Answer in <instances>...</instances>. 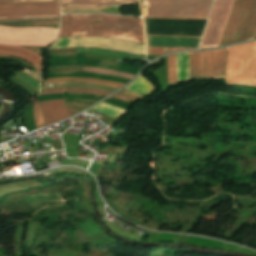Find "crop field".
I'll return each mask as SVG.
<instances>
[{"label": "crop field", "instance_id": "obj_19", "mask_svg": "<svg viewBox=\"0 0 256 256\" xmlns=\"http://www.w3.org/2000/svg\"><path fill=\"white\" fill-rule=\"evenodd\" d=\"M168 83L176 82L175 54L167 57Z\"/></svg>", "mask_w": 256, "mask_h": 256}, {"label": "crop field", "instance_id": "obj_9", "mask_svg": "<svg viewBox=\"0 0 256 256\" xmlns=\"http://www.w3.org/2000/svg\"><path fill=\"white\" fill-rule=\"evenodd\" d=\"M48 14H59L58 3L0 5V17Z\"/></svg>", "mask_w": 256, "mask_h": 256}, {"label": "crop field", "instance_id": "obj_18", "mask_svg": "<svg viewBox=\"0 0 256 256\" xmlns=\"http://www.w3.org/2000/svg\"><path fill=\"white\" fill-rule=\"evenodd\" d=\"M61 91H68V92H87V93H93V94H102V95H108L110 92L101 91V90H93V89H52V90H44L43 94H49V93H61Z\"/></svg>", "mask_w": 256, "mask_h": 256}, {"label": "crop field", "instance_id": "obj_23", "mask_svg": "<svg viewBox=\"0 0 256 256\" xmlns=\"http://www.w3.org/2000/svg\"><path fill=\"white\" fill-rule=\"evenodd\" d=\"M43 1H58V0H0V3H12V2H43Z\"/></svg>", "mask_w": 256, "mask_h": 256}, {"label": "crop field", "instance_id": "obj_7", "mask_svg": "<svg viewBox=\"0 0 256 256\" xmlns=\"http://www.w3.org/2000/svg\"><path fill=\"white\" fill-rule=\"evenodd\" d=\"M58 30L0 28V44L46 45L57 36Z\"/></svg>", "mask_w": 256, "mask_h": 256}, {"label": "crop field", "instance_id": "obj_14", "mask_svg": "<svg viewBox=\"0 0 256 256\" xmlns=\"http://www.w3.org/2000/svg\"><path fill=\"white\" fill-rule=\"evenodd\" d=\"M92 109H94L102 114H105L117 121L127 113V111H125V110H122L115 106L104 104V103H101V104L93 107Z\"/></svg>", "mask_w": 256, "mask_h": 256}, {"label": "crop field", "instance_id": "obj_3", "mask_svg": "<svg viewBox=\"0 0 256 256\" xmlns=\"http://www.w3.org/2000/svg\"><path fill=\"white\" fill-rule=\"evenodd\" d=\"M256 30V0H235L218 46L253 38Z\"/></svg>", "mask_w": 256, "mask_h": 256}, {"label": "crop field", "instance_id": "obj_1", "mask_svg": "<svg viewBox=\"0 0 256 256\" xmlns=\"http://www.w3.org/2000/svg\"><path fill=\"white\" fill-rule=\"evenodd\" d=\"M72 35L109 37L144 44L142 20L138 18L105 14L62 15L61 33L51 48L91 46L145 55L141 44L89 37L60 38Z\"/></svg>", "mask_w": 256, "mask_h": 256}, {"label": "crop field", "instance_id": "obj_25", "mask_svg": "<svg viewBox=\"0 0 256 256\" xmlns=\"http://www.w3.org/2000/svg\"><path fill=\"white\" fill-rule=\"evenodd\" d=\"M254 37H256V34H255V36Z\"/></svg>", "mask_w": 256, "mask_h": 256}, {"label": "crop field", "instance_id": "obj_15", "mask_svg": "<svg viewBox=\"0 0 256 256\" xmlns=\"http://www.w3.org/2000/svg\"><path fill=\"white\" fill-rule=\"evenodd\" d=\"M0 50L22 54L24 56H27V57L35 60L37 63H39L41 65L40 55H38L30 50L18 48V47H14V46H5V45H0Z\"/></svg>", "mask_w": 256, "mask_h": 256}, {"label": "crop field", "instance_id": "obj_5", "mask_svg": "<svg viewBox=\"0 0 256 256\" xmlns=\"http://www.w3.org/2000/svg\"><path fill=\"white\" fill-rule=\"evenodd\" d=\"M213 0H145L147 16L207 17Z\"/></svg>", "mask_w": 256, "mask_h": 256}, {"label": "crop field", "instance_id": "obj_17", "mask_svg": "<svg viewBox=\"0 0 256 256\" xmlns=\"http://www.w3.org/2000/svg\"><path fill=\"white\" fill-rule=\"evenodd\" d=\"M82 71L111 74V75H115V76H119L127 79H131L133 76L132 74H128L124 72H118V71H113V70H108L103 68H96V67H89V66H84Z\"/></svg>", "mask_w": 256, "mask_h": 256}, {"label": "crop field", "instance_id": "obj_10", "mask_svg": "<svg viewBox=\"0 0 256 256\" xmlns=\"http://www.w3.org/2000/svg\"><path fill=\"white\" fill-rule=\"evenodd\" d=\"M45 124H51L71 116L63 99L39 102Z\"/></svg>", "mask_w": 256, "mask_h": 256}, {"label": "crop field", "instance_id": "obj_22", "mask_svg": "<svg viewBox=\"0 0 256 256\" xmlns=\"http://www.w3.org/2000/svg\"><path fill=\"white\" fill-rule=\"evenodd\" d=\"M0 55H7V56H15L17 58H20V59H23V60H26L28 62H30L31 64H33L37 69H41V66H39L38 64H36L35 62H33L32 60L22 56V55H18V54H13V53H6V52H1L0 51Z\"/></svg>", "mask_w": 256, "mask_h": 256}, {"label": "crop field", "instance_id": "obj_6", "mask_svg": "<svg viewBox=\"0 0 256 256\" xmlns=\"http://www.w3.org/2000/svg\"><path fill=\"white\" fill-rule=\"evenodd\" d=\"M227 48L189 52L190 79L224 75Z\"/></svg>", "mask_w": 256, "mask_h": 256}, {"label": "crop field", "instance_id": "obj_11", "mask_svg": "<svg viewBox=\"0 0 256 256\" xmlns=\"http://www.w3.org/2000/svg\"><path fill=\"white\" fill-rule=\"evenodd\" d=\"M139 0H61L62 7L120 6Z\"/></svg>", "mask_w": 256, "mask_h": 256}, {"label": "crop field", "instance_id": "obj_8", "mask_svg": "<svg viewBox=\"0 0 256 256\" xmlns=\"http://www.w3.org/2000/svg\"><path fill=\"white\" fill-rule=\"evenodd\" d=\"M233 0H217L200 48L218 45Z\"/></svg>", "mask_w": 256, "mask_h": 256}, {"label": "crop field", "instance_id": "obj_24", "mask_svg": "<svg viewBox=\"0 0 256 256\" xmlns=\"http://www.w3.org/2000/svg\"><path fill=\"white\" fill-rule=\"evenodd\" d=\"M113 97H117V98L123 99L125 101H129V102L135 101V99H132V98H129V97H126V96H122V95H119V94H116Z\"/></svg>", "mask_w": 256, "mask_h": 256}, {"label": "crop field", "instance_id": "obj_13", "mask_svg": "<svg viewBox=\"0 0 256 256\" xmlns=\"http://www.w3.org/2000/svg\"><path fill=\"white\" fill-rule=\"evenodd\" d=\"M142 76L140 74L138 78L126 89L137 92L141 95L148 96L153 93L154 87L150 81Z\"/></svg>", "mask_w": 256, "mask_h": 256}, {"label": "crop field", "instance_id": "obj_16", "mask_svg": "<svg viewBox=\"0 0 256 256\" xmlns=\"http://www.w3.org/2000/svg\"><path fill=\"white\" fill-rule=\"evenodd\" d=\"M66 80H81V81H87V82H93V83L114 85V86H118V87H121L122 85H124L122 83L103 81V80H97V79H86V78H79V77L53 78V79H47V80H45V82H59V81H66Z\"/></svg>", "mask_w": 256, "mask_h": 256}, {"label": "crop field", "instance_id": "obj_20", "mask_svg": "<svg viewBox=\"0 0 256 256\" xmlns=\"http://www.w3.org/2000/svg\"><path fill=\"white\" fill-rule=\"evenodd\" d=\"M42 19H59V15L25 16V17H1L0 21H8V20H42Z\"/></svg>", "mask_w": 256, "mask_h": 256}, {"label": "crop field", "instance_id": "obj_21", "mask_svg": "<svg viewBox=\"0 0 256 256\" xmlns=\"http://www.w3.org/2000/svg\"><path fill=\"white\" fill-rule=\"evenodd\" d=\"M33 110H34V121H35L36 127L38 128V127L44 126L45 124L40 113L38 99L33 102Z\"/></svg>", "mask_w": 256, "mask_h": 256}, {"label": "crop field", "instance_id": "obj_4", "mask_svg": "<svg viewBox=\"0 0 256 256\" xmlns=\"http://www.w3.org/2000/svg\"><path fill=\"white\" fill-rule=\"evenodd\" d=\"M226 81L256 85V41L229 47Z\"/></svg>", "mask_w": 256, "mask_h": 256}, {"label": "crop field", "instance_id": "obj_2", "mask_svg": "<svg viewBox=\"0 0 256 256\" xmlns=\"http://www.w3.org/2000/svg\"><path fill=\"white\" fill-rule=\"evenodd\" d=\"M166 19V18H161ZM146 19L148 34L200 38L206 21ZM146 29V26H145ZM147 35L146 36H154ZM156 36V37H167ZM148 37L149 46L197 48L199 40ZM173 37V38H180ZM148 54H163L184 48L148 47Z\"/></svg>", "mask_w": 256, "mask_h": 256}, {"label": "crop field", "instance_id": "obj_12", "mask_svg": "<svg viewBox=\"0 0 256 256\" xmlns=\"http://www.w3.org/2000/svg\"><path fill=\"white\" fill-rule=\"evenodd\" d=\"M177 82L189 79L188 52L176 54Z\"/></svg>", "mask_w": 256, "mask_h": 256}]
</instances>
